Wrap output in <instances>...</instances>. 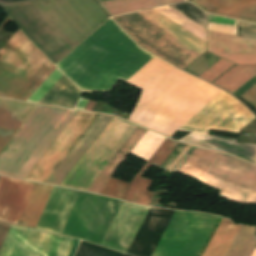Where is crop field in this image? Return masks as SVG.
I'll use <instances>...</instances> for the list:
<instances>
[{"label": "crop field", "mask_w": 256, "mask_h": 256, "mask_svg": "<svg viewBox=\"0 0 256 256\" xmlns=\"http://www.w3.org/2000/svg\"><path fill=\"white\" fill-rule=\"evenodd\" d=\"M145 131L146 129L144 128H141L139 126L136 127V129L129 136V138L120 148V150L115 154V156L111 159V161L107 164L104 170L96 178L93 184L89 187L88 191L100 193L109 177L116 170V168L123 161V159L127 156V154L131 151V149L138 142V140L142 137Z\"/></svg>", "instance_id": "d9b57169"}, {"label": "crop field", "mask_w": 256, "mask_h": 256, "mask_svg": "<svg viewBox=\"0 0 256 256\" xmlns=\"http://www.w3.org/2000/svg\"><path fill=\"white\" fill-rule=\"evenodd\" d=\"M98 115L77 110L25 179L45 182ZM112 117L100 114L46 182L59 185ZM135 127L114 116L60 185L86 191Z\"/></svg>", "instance_id": "ac0d7876"}, {"label": "crop field", "mask_w": 256, "mask_h": 256, "mask_svg": "<svg viewBox=\"0 0 256 256\" xmlns=\"http://www.w3.org/2000/svg\"><path fill=\"white\" fill-rule=\"evenodd\" d=\"M150 22L176 37L199 53L205 52V42L184 30L153 9L138 12ZM136 13L126 14L113 19L143 48L184 68L199 55L187 45L161 30Z\"/></svg>", "instance_id": "dd49c442"}, {"label": "crop field", "mask_w": 256, "mask_h": 256, "mask_svg": "<svg viewBox=\"0 0 256 256\" xmlns=\"http://www.w3.org/2000/svg\"><path fill=\"white\" fill-rule=\"evenodd\" d=\"M252 256H256V249H255V251H254V253H253V255Z\"/></svg>", "instance_id": "e1f06a70"}, {"label": "crop field", "mask_w": 256, "mask_h": 256, "mask_svg": "<svg viewBox=\"0 0 256 256\" xmlns=\"http://www.w3.org/2000/svg\"><path fill=\"white\" fill-rule=\"evenodd\" d=\"M149 207L123 202L102 246L126 253Z\"/></svg>", "instance_id": "28ad6ade"}, {"label": "crop field", "mask_w": 256, "mask_h": 256, "mask_svg": "<svg viewBox=\"0 0 256 256\" xmlns=\"http://www.w3.org/2000/svg\"><path fill=\"white\" fill-rule=\"evenodd\" d=\"M200 182L231 201L256 203V167L229 155L220 154Z\"/></svg>", "instance_id": "5a996713"}, {"label": "crop field", "mask_w": 256, "mask_h": 256, "mask_svg": "<svg viewBox=\"0 0 256 256\" xmlns=\"http://www.w3.org/2000/svg\"><path fill=\"white\" fill-rule=\"evenodd\" d=\"M220 217L198 212L175 211L152 256H199ZM214 230L200 256L220 227ZM240 226L224 219L205 256H224Z\"/></svg>", "instance_id": "f4fd0767"}, {"label": "crop field", "mask_w": 256, "mask_h": 256, "mask_svg": "<svg viewBox=\"0 0 256 256\" xmlns=\"http://www.w3.org/2000/svg\"><path fill=\"white\" fill-rule=\"evenodd\" d=\"M0 106L4 107L6 110H8L10 113H12L14 116L22 121H19L5 109L0 107V126L17 128L20 122L22 124L25 121V119L32 112L36 105L0 99ZM21 124L18 126V128L21 126ZM13 128L0 127V134L5 135L12 133L15 130ZM18 128L10 135H0V151L11 139V137L18 130Z\"/></svg>", "instance_id": "5142ce71"}, {"label": "crop field", "mask_w": 256, "mask_h": 256, "mask_svg": "<svg viewBox=\"0 0 256 256\" xmlns=\"http://www.w3.org/2000/svg\"><path fill=\"white\" fill-rule=\"evenodd\" d=\"M241 97L252 104L256 109V85L241 95Z\"/></svg>", "instance_id": "120bbe31"}, {"label": "crop field", "mask_w": 256, "mask_h": 256, "mask_svg": "<svg viewBox=\"0 0 256 256\" xmlns=\"http://www.w3.org/2000/svg\"><path fill=\"white\" fill-rule=\"evenodd\" d=\"M254 75H256V66H235L214 84L232 93Z\"/></svg>", "instance_id": "dafd665d"}, {"label": "crop field", "mask_w": 256, "mask_h": 256, "mask_svg": "<svg viewBox=\"0 0 256 256\" xmlns=\"http://www.w3.org/2000/svg\"><path fill=\"white\" fill-rule=\"evenodd\" d=\"M11 225L5 224V223H0V248L3 244V241L7 235V232L9 230Z\"/></svg>", "instance_id": "d32e631a"}, {"label": "crop field", "mask_w": 256, "mask_h": 256, "mask_svg": "<svg viewBox=\"0 0 256 256\" xmlns=\"http://www.w3.org/2000/svg\"><path fill=\"white\" fill-rule=\"evenodd\" d=\"M65 110L37 105L0 153V174L15 176Z\"/></svg>", "instance_id": "e52e79f7"}, {"label": "crop field", "mask_w": 256, "mask_h": 256, "mask_svg": "<svg viewBox=\"0 0 256 256\" xmlns=\"http://www.w3.org/2000/svg\"><path fill=\"white\" fill-rule=\"evenodd\" d=\"M255 247V228L241 226L225 256H251Z\"/></svg>", "instance_id": "00972430"}, {"label": "crop field", "mask_w": 256, "mask_h": 256, "mask_svg": "<svg viewBox=\"0 0 256 256\" xmlns=\"http://www.w3.org/2000/svg\"><path fill=\"white\" fill-rule=\"evenodd\" d=\"M156 11L160 12L170 20L174 21L184 29L188 30L198 38L205 41L206 36V29L202 28L201 26L197 25L196 23L192 22L191 20L187 19L183 15L179 14L178 12L174 11L169 7L155 9Z\"/></svg>", "instance_id": "730fd06b"}, {"label": "crop field", "mask_w": 256, "mask_h": 256, "mask_svg": "<svg viewBox=\"0 0 256 256\" xmlns=\"http://www.w3.org/2000/svg\"><path fill=\"white\" fill-rule=\"evenodd\" d=\"M94 104H95V101L89 100V102H88V104H87L85 110L91 111L92 108H93V106H94Z\"/></svg>", "instance_id": "028f5c9d"}, {"label": "crop field", "mask_w": 256, "mask_h": 256, "mask_svg": "<svg viewBox=\"0 0 256 256\" xmlns=\"http://www.w3.org/2000/svg\"><path fill=\"white\" fill-rule=\"evenodd\" d=\"M76 110L67 109L63 116L59 119L56 125L52 128L49 134L45 137V139L41 142L38 148L34 151L31 157L27 160L24 166L20 169V171L15 176L16 178L24 179L31 168L35 165L38 159L42 156L48 146L52 143L58 133L62 130L65 124L69 121L72 115Z\"/></svg>", "instance_id": "92a150f3"}, {"label": "crop field", "mask_w": 256, "mask_h": 256, "mask_svg": "<svg viewBox=\"0 0 256 256\" xmlns=\"http://www.w3.org/2000/svg\"><path fill=\"white\" fill-rule=\"evenodd\" d=\"M127 82L142 89L129 120L169 137L221 92L155 56ZM254 117L246 106L222 91L179 129L192 132L179 141L227 152L256 164V145L234 144L236 140L207 135L209 129L238 132Z\"/></svg>", "instance_id": "8a807250"}, {"label": "crop field", "mask_w": 256, "mask_h": 256, "mask_svg": "<svg viewBox=\"0 0 256 256\" xmlns=\"http://www.w3.org/2000/svg\"><path fill=\"white\" fill-rule=\"evenodd\" d=\"M153 56L109 19L57 67L86 93H111L119 79L126 81Z\"/></svg>", "instance_id": "34b2d1b8"}, {"label": "crop field", "mask_w": 256, "mask_h": 256, "mask_svg": "<svg viewBox=\"0 0 256 256\" xmlns=\"http://www.w3.org/2000/svg\"><path fill=\"white\" fill-rule=\"evenodd\" d=\"M183 0H109L99 4L111 15H118Z\"/></svg>", "instance_id": "214f88e0"}, {"label": "crop field", "mask_w": 256, "mask_h": 256, "mask_svg": "<svg viewBox=\"0 0 256 256\" xmlns=\"http://www.w3.org/2000/svg\"><path fill=\"white\" fill-rule=\"evenodd\" d=\"M185 144L179 143L178 146L174 149V151L170 154V156L165 160V162L161 165L160 169L166 171L174 159L178 156L181 150L184 148Z\"/></svg>", "instance_id": "1d83c4d3"}, {"label": "crop field", "mask_w": 256, "mask_h": 256, "mask_svg": "<svg viewBox=\"0 0 256 256\" xmlns=\"http://www.w3.org/2000/svg\"><path fill=\"white\" fill-rule=\"evenodd\" d=\"M128 185V183L110 177L101 193L123 199Z\"/></svg>", "instance_id": "d3111659"}, {"label": "crop field", "mask_w": 256, "mask_h": 256, "mask_svg": "<svg viewBox=\"0 0 256 256\" xmlns=\"http://www.w3.org/2000/svg\"><path fill=\"white\" fill-rule=\"evenodd\" d=\"M218 155L219 153L196 147L179 172L200 180Z\"/></svg>", "instance_id": "bc2a9ffb"}, {"label": "crop field", "mask_w": 256, "mask_h": 256, "mask_svg": "<svg viewBox=\"0 0 256 256\" xmlns=\"http://www.w3.org/2000/svg\"><path fill=\"white\" fill-rule=\"evenodd\" d=\"M34 184L0 176V220L18 223Z\"/></svg>", "instance_id": "22f410ed"}, {"label": "crop field", "mask_w": 256, "mask_h": 256, "mask_svg": "<svg viewBox=\"0 0 256 256\" xmlns=\"http://www.w3.org/2000/svg\"><path fill=\"white\" fill-rule=\"evenodd\" d=\"M0 56V97L13 99L48 60L18 30Z\"/></svg>", "instance_id": "d8731c3e"}, {"label": "crop field", "mask_w": 256, "mask_h": 256, "mask_svg": "<svg viewBox=\"0 0 256 256\" xmlns=\"http://www.w3.org/2000/svg\"><path fill=\"white\" fill-rule=\"evenodd\" d=\"M178 142L165 139V141L160 145V147L155 151V153L150 157V159L145 163V165L140 169V171L136 174L134 177L129 190L126 194L125 201H131L132 195L134 193L136 184L140 178V176L143 175V173L150 168L152 165L156 167H160V165L164 162V160L167 158V156L171 153V151L176 147Z\"/></svg>", "instance_id": "a9b5d70f"}, {"label": "crop field", "mask_w": 256, "mask_h": 256, "mask_svg": "<svg viewBox=\"0 0 256 256\" xmlns=\"http://www.w3.org/2000/svg\"><path fill=\"white\" fill-rule=\"evenodd\" d=\"M232 65H233L232 63L221 59L216 64H214L211 68H209L206 72L200 75V77L211 82Z\"/></svg>", "instance_id": "bd1437ed"}, {"label": "crop field", "mask_w": 256, "mask_h": 256, "mask_svg": "<svg viewBox=\"0 0 256 256\" xmlns=\"http://www.w3.org/2000/svg\"><path fill=\"white\" fill-rule=\"evenodd\" d=\"M190 2L209 13L256 23V0H192Z\"/></svg>", "instance_id": "cbeb9de0"}, {"label": "crop field", "mask_w": 256, "mask_h": 256, "mask_svg": "<svg viewBox=\"0 0 256 256\" xmlns=\"http://www.w3.org/2000/svg\"><path fill=\"white\" fill-rule=\"evenodd\" d=\"M55 68L56 67L48 60L14 99L26 101Z\"/></svg>", "instance_id": "eef30255"}, {"label": "crop field", "mask_w": 256, "mask_h": 256, "mask_svg": "<svg viewBox=\"0 0 256 256\" xmlns=\"http://www.w3.org/2000/svg\"><path fill=\"white\" fill-rule=\"evenodd\" d=\"M150 183L151 180L141 177L131 202L148 205L152 195V192L147 191Z\"/></svg>", "instance_id": "750c4746"}, {"label": "crop field", "mask_w": 256, "mask_h": 256, "mask_svg": "<svg viewBox=\"0 0 256 256\" xmlns=\"http://www.w3.org/2000/svg\"><path fill=\"white\" fill-rule=\"evenodd\" d=\"M207 51L237 64H256V40L208 30Z\"/></svg>", "instance_id": "d1516ede"}, {"label": "crop field", "mask_w": 256, "mask_h": 256, "mask_svg": "<svg viewBox=\"0 0 256 256\" xmlns=\"http://www.w3.org/2000/svg\"><path fill=\"white\" fill-rule=\"evenodd\" d=\"M122 201L53 187L36 228L101 245Z\"/></svg>", "instance_id": "412701ff"}, {"label": "crop field", "mask_w": 256, "mask_h": 256, "mask_svg": "<svg viewBox=\"0 0 256 256\" xmlns=\"http://www.w3.org/2000/svg\"><path fill=\"white\" fill-rule=\"evenodd\" d=\"M46 233L12 225L0 256H36ZM74 239L47 233L37 256H68ZM80 241H75L69 256H73Z\"/></svg>", "instance_id": "3316defc"}, {"label": "crop field", "mask_w": 256, "mask_h": 256, "mask_svg": "<svg viewBox=\"0 0 256 256\" xmlns=\"http://www.w3.org/2000/svg\"><path fill=\"white\" fill-rule=\"evenodd\" d=\"M62 75L63 74L56 68L27 101L38 103Z\"/></svg>", "instance_id": "ae1a2a85"}, {"label": "crop field", "mask_w": 256, "mask_h": 256, "mask_svg": "<svg viewBox=\"0 0 256 256\" xmlns=\"http://www.w3.org/2000/svg\"><path fill=\"white\" fill-rule=\"evenodd\" d=\"M208 29L234 35V21L209 15ZM237 35L256 39V25L238 21Z\"/></svg>", "instance_id": "4177f3b9"}, {"label": "crop field", "mask_w": 256, "mask_h": 256, "mask_svg": "<svg viewBox=\"0 0 256 256\" xmlns=\"http://www.w3.org/2000/svg\"><path fill=\"white\" fill-rule=\"evenodd\" d=\"M75 87L63 75L39 103L74 108L82 94Z\"/></svg>", "instance_id": "4a817a6b"}, {"label": "crop field", "mask_w": 256, "mask_h": 256, "mask_svg": "<svg viewBox=\"0 0 256 256\" xmlns=\"http://www.w3.org/2000/svg\"><path fill=\"white\" fill-rule=\"evenodd\" d=\"M87 102H88L87 99L82 98L76 108L84 110Z\"/></svg>", "instance_id": "5866460e"}, {"label": "crop field", "mask_w": 256, "mask_h": 256, "mask_svg": "<svg viewBox=\"0 0 256 256\" xmlns=\"http://www.w3.org/2000/svg\"><path fill=\"white\" fill-rule=\"evenodd\" d=\"M53 186L36 183L18 224L35 228Z\"/></svg>", "instance_id": "733c2abd"}]
</instances>
